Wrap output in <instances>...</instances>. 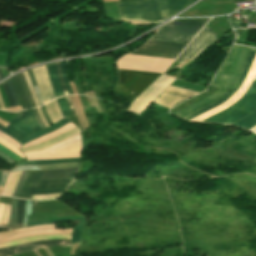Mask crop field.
Instances as JSON below:
<instances>
[{
  "instance_id": "1",
  "label": "crop field",
  "mask_w": 256,
  "mask_h": 256,
  "mask_svg": "<svg viewBox=\"0 0 256 256\" xmlns=\"http://www.w3.org/2000/svg\"><path fill=\"white\" fill-rule=\"evenodd\" d=\"M210 19L211 18L173 20L161 27L152 38L189 42ZM185 46L186 44L183 43L150 39L146 44L130 54L175 59Z\"/></svg>"
},
{
  "instance_id": "2",
  "label": "crop field",
  "mask_w": 256,
  "mask_h": 256,
  "mask_svg": "<svg viewBox=\"0 0 256 256\" xmlns=\"http://www.w3.org/2000/svg\"><path fill=\"white\" fill-rule=\"evenodd\" d=\"M251 48L240 47L233 45L230 53L228 54L226 60L216 73L211 86L219 88L214 94L209 97L175 113L179 117H182L216 99L225 94L236 81L242 66L247 58Z\"/></svg>"
},
{
  "instance_id": "3",
  "label": "crop field",
  "mask_w": 256,
  "mask_h": 256,
  "mask_svg": "<svg viewBox=\"0 0 256 256\" xmlns=\"http://www.w3.org/2000/svg\"><path fill=\"white\" fill-rule=\"evenodd\" d=\"M195 0H131L117 2L120 16L156 22L164 20Z\"/></svg>"
},
{
  "instance_id": "4",
  "label": "crop field",
  "mask_w": 256,
  "mask_h": 256,
  "mask_svg": "<svg viewBox=\"0 0 256 256\" xmlns=\"http://www.w3.org/2000/svg\"><path fill=\"white\" fill-rule=\"evenodd\" d=\"M119 81L116 92L125 96L129 103L161 74L118 69Z\"/></svg>"
},
{
  "instance_id": "5",
  "label": "crop field",
  "mask_w": 256,
  "mask_h": 256,
  "mask_svg": "<svg viewBox=\"0 0 256 256\" xmlns=\"http://www.w3.org/2000/svg\"><path fill=\"white\" fill-rule=\"evenodd\" d=\"M175 79L161 75L153 82L135 101L131 103L128 111L140 114L163 91L190 97L198 93L169 86Z\"/></svg>"
},
{
  "instance_id": "6",
  "label": "crop field",
  "mask_w": 256,
  "mask_h": 256,
  "mask_svg": "<svg viewBox=\"0 0 256 256\" xmlns=\"http://www.w3.org/2000/svg\"><path fill=\"white\" fill-rule=\"evenodd\" d=\"M254 109H256V81H254L249 91L234 105L203 122L232 124L250 114Z\"/></svg>"
},
{
  "instance_id": "7",
  "label": "crop field",
  "mask_w": 256,
  "mask_h": 256,
  "mask_svg": "<svg viewBox=\"0 0 256 256\" xmlns=\"http://www.w3.org/2000/svg\"><path fill=\"white\" fill-rule=\"evenodd\" d=\"M43 170L30 171L22 191L18 198L30 199L32 195L49 194V193H60L72 182L73 178H63L54 180L39 181V178ZM41 189H49L42 191H34Z\"/></svg>"
},
{
  "instance_id": "8",
  "label": "crop field",
  "mask_w": 256,
  "mask_h": 256,
  "mask_svg": "<svg viewBox=\"0 0 256 256\" xmlns=\"http://www.w3.org/2000/svg\"><path fill=\"white\" fill-rule=\"evenodd\" d=\"M172 61L173 60L170 59L125 55L117 61V67L163 73Z\"/></svg>"
},
{
  "instance_id": "9",
  "label": "crop field",
  "mask_w": 256,
  "mask_h": 256,
  "mask_svg": "<svg viewBox=\"0 0 256 256\" xmlns=\"http://www.w3.org/2000/svg\"><path fill=\"white\" fill-rule=\"evenodd\" d=\"M58 105H59V108L62 112V115L64 117V119H62L61 121L59 122H56L54 123L53 125H51L50 127L46 128V129H43L37 133H35L33 130L30 129V127L25 124L24 122H22L21 120H19L18 118L14 117L9 123L15 125L16 127L20 128L21 130H23L24 132H26L27 134H29L30 136L25 138L24 140L20 141V144L23 145L35 138H38L44 134H47L55 129H57L58 127L70 122L69 118L67 116H70V111H69V108H68V105L65 101V98L64 97H61L59 99L56 100Z\"/></svg>"
},
{
  "instance_id": "10",
  "label": "crop field",
  "mask_w": 256,
  "mask_h": 256,
  "mask_svg": "<svg viewBox=\"0 0 256 256\" xmlns=\"http://www.w3.org/2000/svg\"><path fill=\"white\" fill-rule=\"evenodd\" d=\"M216 39L213 32L208 28L204 27L202 31L194 38V40L186 47V49L179 55L176 61L181 63L189 57L195 59L198 54L213 43Z\"/></svg>"
},
{
  "instance_id": "11",
  "label": "crop field",
  "mask_w": 256,
  "mask_h": 256,
  "mask_svg": "<svg viewBox=\"0 0 256 256\" xmlns=\"http://www.w3.org/2000/svg\"><path fill=\"white\" fill-rule=\"evenodd\" d=\"M255 55H256V49L252 48L244 66H243V69H242V71H241V73H240V75L237 79V81L235 82L234 86L231 88V90L227 94H225L218 101H216V102H214V103H212V104H210V105H208V106H206V107H204V108H202V109L184 117L183 119L189 120V119H191V118H193V117H195V116H197V115H199V114H201V113H203V112H205V111L223 103L225 100H227L229 97H231L240 88L241 84L243 83V81H244V79H245V77H246V75L249 71V68H250V66H251V64L254 60Z\"/></svg>"
},
{
  "instance_id": "12",
  "label": "crop field",
  "mask_w": 256,
  "mask_h": 256,
  "mask_svg": "<svg viewBox=\"0 0 256 256\" xmlns=\"http://www.w3.org/2000/svg\"><path fill=\"white\" fill-rule=\"evenodd\" d=\"M52 225H54V224L26 227V228H21V229H17V230L7 231V232H0V236L13 234V233H18V232H23V231L32 230V229H37V228H42V227H47V226H52ZM52 228H54V226L47 227V228H42V229H37V230H32V231H27V232L18 233V234H13V235H8V236H3V237H0V239L1 238H6V237H11V236H16V235H21V234H27V233L47 230V229H52ZM71 232H72V229H64V230L52 229V230H47V231H42V232H37V233H32V234H27V235H21V236L1 239L0 244L10 242V241H14V240H18V239L25 238V237H29V236L40 235V234H57V233H71Z\"/></svg>"
},
{
  "instance_id": "13",
  "label": "crop field",
  "mask_w": 256,
  "mask_h": 256,
  "mask_svg": "<svg viewBox=\"0 0 256 256\" xmlns=\"http://www.w3.org/2000/svg\"><path fill=\"white\" fill-rule=\"evenodd\" d=\"M31 70L33 72L35 81L40 90L44 104L55 99L53 92H52V86L48 79L45 65L41 66V69L39 67H37V68H32Z\"/></svg>"
},
{
  "instance_id": "14",
  "label": "crop field",
  "mask_w": 256,
  "mask_h": 256,
  "mask_svg": "<svg viewBox=\"0 0 256 256\" xmlns=\"http://www.w3.org/2000/svg\"><path fill=\"white\" fill-rule=\"evenodd\" d=\"M71 240H47L41 242H33L22 244L14 247H10L14 254L26 252L39 247H47V246H70Z\"/></svg>"
},
{
  "instance_id": "15",
  "label": "crop field",
  "mask_w": 256,
  "mask_h": 256,
  "mask_svg": "<svg viewBox=\"0 0 256 256\" xmlns=\"http://www.w3.org/2000/svg\"><path fill=\"white\" fill-rule=\"evenodd\" d=\"M79 132H81V131L79 130L78 127H76V128H74V129H72L70 131H67L64 134H62V135H60V136H58L56 138H53V139H51V140H49V141H47L45 143H41V144L34 145V146H31V147H28V148H25V149H21L20 151L22 153H24V152H28V151H34V150H43V149H45V148H47V147H49V146H51V145L61 141V140H64V139H66L68 137H71V136H73V135H75V134H77Z\"/></svg>"
},
{
  "instance_id": "16",
  "label": "crop field",
  "mask_w": 256,
  "mask_h": 256,
  "mask_svg": "<svg viewBox=\"0 0 256 256\" xmlns=\"http://www.w3.org/2000/svg\"><path fill=\"white\" fill-rule=\"evenodd\" d=\"M10 80H11L12 86L15 90V93L17 95V98H18V100L21 104V107L23 109L30 108L31 106L28 102V98L26 96V93H25L22 85H21V82H20V79H19L18 75L10 78Z\"/></svg>"
},
{
  "instance_id": "17",
  "label": "crop field",
  "mask_w": 256,
  "mask_h": 256,
  "mask_svg": "<svg viewBox=\"0 0 256 256\" xmlns=\"http://www.w3.org/2000/svg\"><path fill=\"white\" fill-rule=\"evenodd\" d=\"M78 168L44 170L41 180L75 176Z\"/></svg>"
},
{
  "instance_id": "18",
  "label": "crop field",
  "mask_w": 256,
  "mask_h": 256,
  "mask_svg": "<svg viewBox=\"0 0 256 256\" xmlns=\"http://www.w3.org/2000/svg\"><path fill=\"white\" fill-rule=\"evenodd\" d=\"M186 99V97L170 94L164 92L160 97H158L154 103L160 104L165 107H172L174 104Z\"/></svg>"
},
{
  "instance_id": "19",
  "label": "crop field",
  "mask_w": 256,
  "mask_h": 256,
  "mask_svg": "<svg viewBox=\"0 0 256 256\" xmlns=\"http://www.w3.org/2000/svg\"><path fill=\"white\" fill-rule=\"evenodd\" d=\"M49 79L51 81V84L53 86V92L55 94V97L63 96V91L60 87V84L58 82L57 73L55 69L54 63L46 65Z\"/></svg>"
},
{
  "instance_id": "20",
  "label": "crop field",
  "mask_w": 256,
  "mask_h": 256,
  "mask_svg": "<svg viewBox=\"0 0 256 256\" xmlns=\"http://www.w3.org/2000/svg\"><path fill=\"white\" fill-rule=\"evenodd\" d=\"M72 220H80V224L76 228L73 229L72 242L71 243L80 242L81 231H82V226H83L84 219H62V220H57V221H52V222H42V223L27 222V226L58 223V222H65V221H72Z\"/></svg>"
},
{
  "instance_id": "21",
  "label": "crop field",
  "mask_w": 256,
  "mask_h": 256,
  "mask_svg": "<svg viewBox=\"0 0 256 256\" xmlns=\"http://www.w3.org/2000/svg\"><path fill=\"white\" fill-rule=\"evenodd\" d=\"M0 131L10 135L12 138L16 139V140H21L29 135H27L26 133H24L23 131H21L20 129L12 126L9 124V126L6 128L2 125H0Z\"/></svg>"
},
{
  "instance_id": "22",
  "label": "crop field",
  "mask_w": 256,
  "mask_h": 256,
  "mask_svg": "<svg viewBox=\"0 0 256 256\" xmlns=\"http://www.w3.org/2000/svg\"><path fill=\"white\" fill-rule=\"evenodd\" d=\"M45 108L53 123L63 118L55 100L45 105Z\"/></svg>"
},
{
  "instance_id": "23",
  "label": "crop field",
  "mask_w": 256,
  "mask_h": 256,
  "mask_svg": "<svg viewBox=\"0 0 256 256\" xmlns=\"http://www.w3.org/2000/svg\"><path fill=\"white\" fill-rule=\"evenodd\" d=\"M18 118L27 122L35 132L40 130V127H39L32 111H25L24 113L19 115Z\"/></svg>"
},
{
  "instance_id": "24",
  "label": "crop field",
  "mask_w": 256,
  "mask_h": 256,
  "mask_svg": "<svg viewBox=\"0 0 256 256\" xmlns=\"http://www.w3.org/2000/svg\"><path fill=\"white\" fill-rule=\"evenodd\" d=\"M70 162H80V158L30 161V162L18 163L17 165H24V164H56V163H70Z\"/></svg>"
},
{
  "instance_id": "25",
  "label": "crop field",
  "mask_w": 256,
  "mask_h": 256,
  "mask_svg": "<svg viewBox=\"0 0 256 256\" xmlns=\"http://www.w3.org/2000/svg\"><path fill=\"white\" fill-rule=\"evenodd\" d=\"M255 124H256V110H254L250 115H248L243 120L235 123V125H238L247 129L251 128Z\"/></svg>"
},
{
  "instance_id": "26",
  "label": "crop field",
  "mask_w": 256,
  "mask_h": 256,
  "mask_svg": "<svg viewBox=\"0 0 256 256\" xmlns=\"http://www.w3.org/2000/svg\"><path fill=\"white\" fill-rule=\"evenodd\" d=\"M16 210H17V199L12 198V207L9 227L16 228Z\"/></svg>"
},
{
  "instance_id": "27",
  "label": "crop field",
  "mask_w": 256,
  "mask_h": 256,
  "mask_svg": "<svg viewBox=\"0 0 256 256\" xmlns=\"http://www.w3.org/2000/svg\"><path fill=\"white\" fill-rule=\"evenodd\" d=\"M23 206H24V200H19L18 211H17V228L22 227Z\"/></svg>"
},
{
  "instance_id": "28",
  "label": "crop field",
  "mask_w": 256,
  "mask_h": 256,
  "mask_svg": "<svg viewBox=\"0 0 256 256\" xmlns=\"http://www.w3.org/2000/svg\"><path fill=\"white\" fill-rule=\"evenodd\" d=\"M60 66H61V72H62L65 87H66L69 94H73L71 89H70L69 81H68V78H67V75H66L64 61L60 62Z\"/></svg>"
},
{
  "instance_id": "29",
  "label": "crop field",
  "mask_w": 256,
  "mask_h": 256,
  "mask_svg": "<svg viewBox=\"0 0 256 256\" xmlns=\"http://www.w3.org/2000/svg\"><path fill=\"white\" fill-rule=\"evenodd\" d=\"M28 172H29V171H23V172H22V175H21V177H20V180H19V182H18V184H17V186H16V189H15L13 195H12L13 197H16V198H17V196H18V194H19V191H20V188H21V186H22V184H23V182H24V180H25V178H26Z\"/></svg>"
},
{
  "instance_id": "30",
  "label": "crop field",
  "mask_w": 256,
  "mask_h": 256,
  "mask_svg": "<svg viewBox=\"0 0 256 256\" xmlns=\"http://www.w3.org/2000/svg\"><path fill=\"white\" fill-rule=\"evenodd\" d=\"M31 207H32V201L26 200L25 207H24V220H23L24 227L26 226L27 215H31Z\"/></svg>"
},
{
  "instance_id": "31",
  "label": "crop field",
  "mask_w": 256,
  "mask_h": 256,
  "mask_svg": "<svg viewBox=\"0 0 256 256\" xmlns=\"http://www.w3.org/2000/svg\"><path fill=\"white\" fill-rule=\"evenodd\" d=\"M19 76H20V78H21L23 87H24V89H25V91H26V93H27V96H28V98H29V101H30L31 106H32V107H35V106H34V103H33V99H32L31 94H30V92H29V89H28V87H27L26 80H25V77H24L23 73H20Z\"/></svg>"
},
{
  "instance_id": "32",
  "label": "crop field",
  "mask_w": 256,
  "mask_h": 256,
  "mask_svg": "<svg viewBox=\"0 0 256 256\" xmlns=\"http://www.w3.org/2000/svg\"><path fill=\"white\" fill-rule=\"evenodd\" d=\"M24 75H25V77H26V80H27V83H28V87H29V89H30V92H31V94H32V96H33V98H34L35 106L37 107V106H39L38 100H37V97H36V95H35V92H34V90H33V88H32L31 81H30V79H29L28 74H27L26 71H24Z\"/></svg>"
},
{
  "instance_id": "33",
  "label": "crop field",
  "mask_w": 256,
  "mask_h": 256,
  "mask_svg": "<svg viewBox=\"0 0 256 256\" xmlns=\"http://www.w3.org/2000/svg\"><path fill=\"white\" fill-rule=\"evenodd\" d=\"M0 150L5 153L7 156L11 157L13 160H15L16 162L21 160L18 156H16L14 153H12L10 150H8L7 148H5L4 146H2L0 144Z\"/></svg>"
},
{
  "instance_id": "34",
  "label": "crop field",
  "mask_w": 256,
  "mask_h": 256,
  "mask_svg": "<svg viewBox=\"0 0 256 256\" xmlns=\"http://www.w3.org/2000/svg\"><path fill=\"white\" fill-rule=\"evenodd\" d=\"M2 85H3V88H4V90H5L6 96H7V98H8L10 107L15 106V105H14V102H13V100H12V97H11V95H10V93H9V90H8V87H7L6 83L3 82Z\"/></svg>"
},
{
  "instance_id": "35",
  "label": "crop field",
  "mask_w": 256,
  "mask_h": 256,
  "mask_svg": "<svg viewBox=\"0 0 256 256\" xmlns=\"http://www.w3.org/2000/svg\"><path fill=\"white\" fill-rule=\"evenodd\" d=\"M56 64V68H57V73H58V78H59V82L62 86V89L64 91V94L67 95V92L65 90L64 84H63V80H62V76H61V72H60V66H59V62L55 63Z\"/></svg>"
},
{
  "instance_id": "36",
  "label": "crop field",
  "mask_w": 256,
  "mask_h": 256,
  "mask_svg": "<svg viewBox=\"0 0 256 256\" xmlns=\"http://www.w3.org/2000/svg\"><path fill=\"white\" fill-rule=\"evenodd\" d=\"M6 82H7V85H8V87H9L11 93H12V96H13V99H14V102H15V105L18 106L19 103H18L17 98H16V96H15L14 90H13V88H12V86H11L10 80L8 79V80H6Z\"/></svg>"
},
{
  "instance_id": "37",
  "label": "crop field",
  "mask_w": 256,
  "mask_h": 256,
  "mask_svg": "<svg viewBox=\"0 0 256 256\" xmlns=\"http://www.w3.org/2000/svg\"><path fill=\"white\" fill-rule=\"evenodd\" d=\"M0 158L3 159L4 161H6L7 163L14 164L16 163L15 161H13L12 159H10L9 157H7L5 154H3L2 152H0Z\"/></svg>"
},
{
  "instance_id": "38",
  "label": "crop field",
  "mask_w": 256,
  "mask_h": 256,
  "mask_svg": "<svg viewBox=\"0 0 256 256\" xmlns=\"http://www.w3.org/2000/svg\"><path fill=\"white\" fill-rule=\"evenodd\" d=\"M13 253L9 248L0 249V256H8L12 255Z\"/></svg>"
},
{
  "instance_id": "39",
  "label": "crop field",
  "mask_w": 256,
  "mask_h": 256,
  "mask_svg": "<svg viewBox=\"0 0 256 256\" xmlns=\"http://www.w3.org/2000/svg\"><path fill=\"white\" fill-rule=\"evenodd\" d=\"M63 218H85L84 216H73V217H63ZM56 219H62V218H52V219H45V220H28V221H51Z\"/></svg>"
},
{
  "instance_id": "40",
  "label": "crop field",
  "mask_w": 256,
  "mask_h": 256,
  "mask_svg": "<svg viewBox=\"0 0 256 256\" xmlns=\"http://www.w3.org/2000/svg\"><path fill=\"white\" fill-rule=\"evenodd\" d=\"M33 111H34V115H35V117H36V119H37V121H38V123H39L41 129L45 128V127L43 126V124H42V122H41V120H40V117H39V115H38V113H37V111H36L35 108H33Z\"/></svg>"
},
{
  "instance_id": "41",
  "label": "crop field",
  "mask_w": 256,
  "mask_h": 256,
  "mask_svg": "<svg viewBox=\"0 0 256 256\" xmlns=\"http://www.w3.org/2000/svg\"><path fill=\"white\" fill-rule=\"evenodd\" d=\"M7 174H8V171H3L2 172V176H1V180H0V186L4 185Z\"/></svg>"
},
{
  "instance_id": "42",
  "label": "crop field",
  "mask_w": 256,
  "mask_h": 256,
  "mask_svg": "<svg viewBox=\"0 0 256 256\" xmlns=\"http://www.w3.org/2000/svg\"><path fill=\"white\" fill-rule=\"evenodd\" d=\"M37 110H38V112H39V115H40V117H41V120H42L43 124L45 125V127H48V124H47V122H46V120H45V118H44V116H43V114H42V112H41L40 107H38Z\"/></svg>"
},
{
  "instance_id": "43",
  "label": "crop field",
  "mask_w": 256,
  "mask_h": 256,
  "mask_svg": "<svg viewBox=\"0 0 256 256\" xmlns=\"http://www.w3.org/2000/svg\"><path fill=\"white\" fill-rule=\"evenodd\" d=\"M232 27L241 28V21L230 22Z\"/></svg>"
},
{
  "instance_id": "44",
  "label": "crop field",
  "mask_w": 256,
  "mask_h": 256,
  "mask_svg": "<svg viewBox=\"0 0 256 256\" xmlns=\"http://www.w3.org/2000/svg\"><path fill=\"white\" fill-rule=\"evenodd\" d=\"M34 89H35V92L37 94L38 100H39L40 104L42 105L43 104L42 99H41L40 93H39L38 88H37L36 85H35Z\"/></svg>"
},
{
  "instance_id": "45",
  "label": "crop field",
  "mask_w": 256,
  "mask_h": 256,
  "mask_svg": "<svg viewBox=\"0 0 256 256\" xmlns=\"http://www.w3.org/2000/svg\"><path fill=\"white\" fill-rule=\"evenodd\" d=\"M66 100H67V103H68V105H69V108H70L71 112H72V113H75V112H74V109H73V107H72V104H71V102H70V99H69L68 96H66Z\"/></svg>"
},
{
  "instance_id": "46",
  "label": "crop field",
  "mask_w": 256,
  "mask_h": 256,
  "mask_svg": "<svg viewBox=\"0 0 256 256\" xmlns=\"http://www.w3.org/2000/svg\"><path fill=\"white\" fill-rule=\"evenodd\" d=\"M96 100H97V102H98V104H99V106H100L101 112H105L104 109H103V107H102L101 101L98 100V99H96Z\"/></svg>"
},
{
  "instance_id": "47",
  "label": "crop field",
  "mask_w": 256,
  "mask_h": 256,
  "mask_svg": "<svg viewBox=\"0 0 256 256\" xmlns=\"http://www.w3.org/2000/svg\"><path fill=\"white\" fill-rule=\"evenodd\" d=\"M251 131H253L254 133H256V126L252 127L251 129H249Z\"/></svg>"
},
{
  "instance_id": "48",
  "label": "crop field",
  "mask_w": 256,
  "mask_h": 256,
  "mask_svg": "<svg viewBox=\"0 0 256 256\" xmlns=\"http://www.w3.org/2000/svg\"><path fill=\"white\" fill-rule=\"evenodd\" d=\"M94 93H95V96H96V97L100 98L97 92H94Z\"/></svg>"
},
{
  "instance_id": "49",
  "label": "crop field",
  "mask_w": 256,
  "mask_h": 256,
  "mask_svg": "<svg viewBox=\"0 0 256 256\" xmlns=\"http://www.w3.org/2000/svg\"><path fill=\"white\" fill-rule=\"evenodd\" d=\"M1 79H3V76H2V74H1V72H0V80H1Z\"/></svg>"
},
{
  "instance_id": "50",
  "label": "crop field",
  "mask_w": 256,
  "mask_h": 256,
  "mask_svg": "<svg viewBox=\"0 0 256 256\" xmlns=\"http://www.w3.org/2000/svg\"><path fill=\"white\" fill-rule=\"evenodd\" d=\"M0 228H5V227H3V226H0ZM7 229V228H6Z\"/></svg>"
},
{
  "instance_id": "51",
  "label": "crop field",
  "mask_w": 256,
  "mask_h": 256,
  "mask_svg": "<svg viewBox=\"0 0 256 256\" xmlns=\"http://www.w3.org/2000/svg\"><path fill=\"white\" fill-rule=\"evenodd\" d=\"M1 172H2V171H0V176H1Z\"/></svg>"
}]
</instances>
